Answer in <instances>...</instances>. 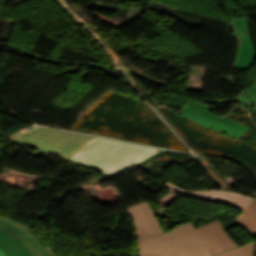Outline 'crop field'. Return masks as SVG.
Returning a JSON list of instances; mask_svg holds the SVG:
<instances>
[{
    "label": "crop field",
    "instance_id": "crop-field-1",
    "mask_svg": "<svg viewBox=\"0 0 256 256\" xmlns=\"http://www.w3.org/2000/svg\"><path fill=\"white\" fill-rule=\"evenodd\" d=\"M160 151L94 136L70 160L90 166L111 179Z\"/></svg>",
    "mask_w": 256,
    "mask_h": 256
},
{
    "label": "crop field",
    "instance_id": "crop-field-2",
    "mask_svg": "<svg viewBox=\"0 0 256 256\" xmlns=\"http://www.w3.org/2000/svg\"><path fill=\"white\" fill-rule=\"evenodd\" d=\"M140 254L171 250H184L206 247L203 239L191 222L180 225L170 232L138 240Z\"/></svg>",
    "mask_w": 256,
    "mask_h": 256
},
{
    "label": "crop field",
    "instance_id": "crop-field-3",
    "mask_svg": "<svg viewBox=\"0 0 256 256\" xmlns=\"http://www.w3.org/2000/svg\"><path fill=\"white\" fill-rule=\"evenodd\" d=\"M213 108L214 107L191 101L179 114L201 125L226 133L236 139L245 131L249 130V127L242 123L214 114L211 111Z\"/></svg>",
    "mask_w": 256,
    "mask_h": 256
},
{
    "label": "crop field",
    "instance_id": "crop-field-4",
    "mask_svg": "<svg viewBox=\"0 0 256 256\" xmlns=\"http://www.w3.org/2000/svg\"><path fill=\"white\" fill-rule=\"evenodd\" d=\"M164 188H167L177 194L229 205L238 210H241L242 212L246 210L255 200V198L251 196H245L243 194H238V193L218 191L214 189L205 190V191H189L177 185H173L169 182L165 183Z\"/></svg>",
    "mask_w": 256,
    "mask_h": 256
},
{
    "label": "crop field",
    "instance_id": "crop-field-5",
    "mask_svg": "<svg viewBox=\"0 0 256 256\" xmlns=\"http://www.w3.org/2000/svg\"><path fill=\"white\" fill-rule=\"evenodd\" d=\"M7 138L17 144L31 147L66 159H69L78 149L82 147L81 145L35 138L20 132L10 135Z\"/></svg>",
    "mask_w": 256,
    "mask_h": 256
},
{
    "label": "crop field",
    "instance_id": "crop-field-6",
    "mask_svg": "<svg viewBox=\"0 0 256 256\" xmlns=\"http://www.w3.org/2000/svg\"><path fill=\"white\" fill-rule=\"evenodd\" d=\"M229 26L234 31L233 36L238 42V52L233 67L237 70H249L253 65L255 52L248 35L247 20L246 18L232 19Z\"/></svg>",
    "mask_w": 256,
    "mask_h": 256
},
{
    "label": "crop field",
    "instance_id": "crop-field-7",
    "mask_svg": "<svg viewBox=\"0 0 256 256\" xmlns=\"http://www.w3.org/2000/svg\"><path fill=\"white\" fill-rule=\"evenodd\" d=\"M126 209L138 238L164 233L148 200Z\"/></svg>",
    "mask_w": 256,
    "mask_h": 256
},
{
    "label": "crop field",
    "instance_id": "crop-field-8",
    "mask_svg": "<svg viewBox=\"0 0 256 256\" xmlns=\"http://www.w3.org/2000/svg\"><path fill=\"white\" fill-rule=\"evenodd\" d=\"M197 230L203 237L213 256L237 246L222 229L218 220H215L207 226L198 228Z\"/></svg>",
    "mask_w": 256,
    "mask_h": 256
},
{
    "label": "crop field",
    "instance_id": "crop-field-9",
    "mask_svg": "<svg viewBox=\"0 0 256 256\" xmlns=\"http://www.w3.org/2000/svg\"><path fill=\"white\" fill-rule=\"evenodd\" d=\"M0 222L7 224L15 234L24 242L33 256H53L45 245L37 238L34 232L18 223L14 219L0 217Z\"/></svg>",
    "mask_w": 256,
    "mask_h": 256
},
{
    "label": "crop field",
    "instance_id": "crop-field-10",
    "mask_svg": "<svg viewBox=\"0 0 256 256\" xmlns=\"http://www.w3.org/2000/svg\"><path fill=\"white\" fill-rule=\"evenodd\" d=\"M20 132L46 139L70 142L75 144L85 145L93 136L69 133L63 131L50 130L42 127L32 126L21 130Z\"/></svg>",
    "mask_w": 256,
    "mask_h": 256
},
{
    "label": "crop field",
    "instance_id": "crop-field-11",
    "mask_svg": "<svg viewBox=\"0 0 256 256\" xmlns=\"http://www.w3.org/2000/svg\"><path fill=\"white\" fill-rule=\"evenodd\" d=\"M0 250L6 256H32L23 242L0 231Z\"/></svg>",
    "mask_w": 256,
    "mask_h": 256
},
{
    "label": "crop field",
    "instance_id": "crop-field-12",
    "mask_svg": "<svg viewBox=\"0 0 256 256\" xmlns=\"http://www.w3.org/2000/svg\"><path fill=\"white\" fill-rule=\"evenodd\" d=\"M235 222L256 238V202L248 210L239 214Z\"/></svg>",
    "mask_w": 256,
    "mask_h": 256
},
{
    "label": "crop field",
    "instance_id": "crop-field-13",
    "mask_svg": "<svg viewBox=\"0 0 256 256\" xmlns=\"http://www.w3.org/2000/svg\"><path fill=\"white\" fill-rule=\"evenodd\" d=\"M140 256H211L207 248L196 250H184V251H171L157 254H147Z\"/></svg>",
    "mask_w": 256,
    "mask_h": 256
},
{
    "label": "crop field",
    "instance_id": "crop-field-14",
    "mask_svg": "<svg viewBox=\"0 0 256 256\" xmlns=\"http://www.w3.org/2000/svg\"><path fill=\"white\" fill-rule=\"evenodd\" d=\"M237 101L256 109V80L238 96Z\"/></svg>",
    "mask_w": 256,
    "mask_h": 256
},
{
    "label": "crop field",
    "instance_id": "crop-field-15",
    "mask_svg": "<svg viewBox=\"0 0 256 256\" xmlns=\"http://www.w3.org/2000/svg\"><path fill=\"white\" fill-rule=\"evenodd\" d=\"M217 256H256V244L253 241L240 248L232 249Z\"/></svg>",
    "mask_w": 256,
    "mask_h": 256
},
{
    "label": "crop field",
    "instance_id": "crop-field-16",
    "mask_svg": "<svg viewBox=\"0 0 256 256\" xmlns=\"http://www.w3.org/2000/svg\"><path fill=\"white\" fill-rule=\"evenodd\" d=\"M24 54L30 55V56L34 57L35 59H37V60L46 61V62H50V63H62V64H76V65L94 66V63H79V62H67V61L52 60V59H49V58L41 57L36 53H32V52H28V51H25Z\"/></svg>",
    "mask_w": 256,
    "mask_h": 256
},
{
    "label": "crop field",
    "instance_id": "crop-field-17",
    "mask_svg": "<svg viewBox=\"0 0 256 256\" xmlns=\"http://www.w3.org/2000/svg\"><path fill=\"white\" fill-rule=\"evenodd\" d=\"M0 230L10 235L12 238H17L14 232L5 224L0 223Z\"/></svg>",
    "mask_w": 256,
    "mask_h": 256
},
{
    "label": "crop field",
    "instance_id": "crop-field-18",
    "mask_svg": "<svg viewBox=\"0 0 256 256\" xmlns=\"http://www.w3.org/2000/svg\"><path fill=\"white\" fill-rule=\"evenodd\" d=\"M4 46H9V45L6 43H0V47H4Z\"/></svg>",
    "mask_w": 256,
    "mask_h": 256
},
{
    "label": "crop field",
    "instance_id": "crop-field-19",
    "mask_svg": "<svg viewBox=\"0 0 256 256\" xmlns=\"http://www.w3.org/2000/svg\"><path fill=\"white\" fill-rule=\"evenodd\" d=\"M0 256H5V255L0 251Z\"/></svg>",
    "mask_w": 256,
    "mask_h": 256
}]
</instances>
